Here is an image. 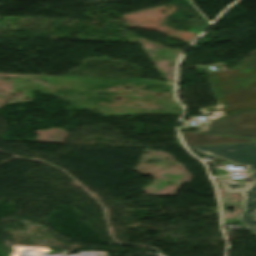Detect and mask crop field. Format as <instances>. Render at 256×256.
I'll list each match as a JSON object with an SVG mask.
<instances>
[{"mask_svg": "<svg viewBox=\"0 0 256 256\" xmlns=\"http://www.w3.org/2000/svg\"><path fill=\"white\" fill-rule=\"evenodd\" d=\"M242 67L207 74L218 106L200 109L206 124L200 132L246 137L256 140V54L241 62Z\"/></svg>", "mask_w": 256, "mask_h": 256, "instance_id": "8a807250", "label": "crop field"}, {"mask_svg": "<svg viewBox=\"0 0 256 256\" xmlns=\"http://www.w3.org/2000/svg\"><path fill=\"white\" fill-rule=\"evenodd\" d=\"M189 149L227 159L231 165H245L247 167L246 170H256V143L194 147Z\"/></svg>", "mask_w": 256, "mask_h": 256, "instance_id": "34b2d1b8", "label": "crop field"}, {"mask_svg": "<svg viewBox=\"0 0 256 256\" xmlns=\"http://www.w3.org/2000/svg\"><path fill=\"white\" fill-rule=\"evenodd\" d=\"M185 144L188 147L205 146V145H218L242 142H255L251 139L228 137L221 135L201 134L195 132H181Z\"/></svg>", "mask_w": 256, "mask_h": 256, "instance_id": "412701ff", "label": "crop field"}, {"mask_svg": "<svg viewBox=\"0 0 256 256\" xmlns=\"http://www.w3.org/2000/svg\"><path fill=\"white\" fill-rule=\"evenodd\" d=\"M253 183H242L229 179L219 180L225 193H242L241 205L244 209L236 218L247 230L256 236V172H248Z\"/></svg>", "mask_w": 256, "mask_h": 256, "instance_id": "ac0d7876", "label": "crop field"}]
</instances>
